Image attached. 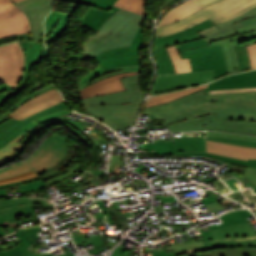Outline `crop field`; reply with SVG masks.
Returning a JSON list of instances; mask_svg holds the SVG:
<instances>
[{
  "instance_id": "crop-field-11",
  "label": "crop field",
  "mask_w": 256,
  "mask_h": 256,
  "mask_svg": "<svg viewBox=\"0 0 256 256\" xmlns=\"http://www.w3.org/2000/svg\"><path fill=\"white\" fill-rule=\"evenodd\" d=\"M23 71V52L18 43L0 47V79L12 88Z\"/></svg>"
},
{
  "instance_id": "crop-field-19",
  "label": "crop field",
  "mask_w": 256,
  "mask_h": 256,
  "mask_svg": "<svg viewBox=\"0 0 256 256\" xmlns=\"http://www.w3.org/2000/svg\"><path fill=\"white\" fill-rule=\"evenodd\" d=\"M140 72H132L128 74H122L113 76L104 80H101L97 83H94L82 90H80V95L82 98L92 97V96H98L118 90H123V84L119 80L120 77L124 76H130V75H136Z\"/></svg>"
},
{
  "instance_id": "crop-field-24",
  "label": "crop field",
  "mask_w": 256,
  "mask_h": 256,
  "mask_svg": "<svg viewBox=\"0 0 256 256\" xmlns=\"http://www.w3.org/2000/svg\"><path fill=\"white\" fill-rule=\"evenodd\" d=\"M39 230L40 226L16 231L22 243L8 251L0 252V256H20L38 238L36 234Z\"/></svg>"
},
{
  "instance_id": "crop-field-65",
  "label": "crop field",
  "mask_w": 256,
  "mask_h": 256,
  "mask_svg": "<svg viewBox=\"0 0 256 256\" xmlns=\"http://www.w3.org/2000/svg\"><path fill=\"white\" fill-rule=\"evenodd\" d=\"M205 94H209L208 91H206Z\"/></svg>"
},
{
  "instance_id": "crop-field-41",
  "label": "crop field",
  "mask_w": 256,
  "mask_h": 256,
  "mask_svg": "<svg viewBox=\"0 0 256 256\" xmlns=\"http://www.w3.org/2000/svg\"><path fill=\"white\" fill-rule=\"evenodd\" d=\"M248 16L250 18L256 16V7L251 9L250 11H248V12H246V13H244V14H242V15H240V16H238V17H236V18H234V19H232L230 21H228V22L218 24L217 26H218V28H221L223 26L229 25V24L234 23L236 21H240V20H242V19H244V18H246Z\"/></svg>"
},
{
  "instance_id": "crop-field-51",
  "label": "crop field",
  "mask_w": 256,
  "mask_h": 256,
  "mask_svg": "<svg viewBox=\"0 0 256 256\" xmlns=\"http://www.w3.org/2000/svg\"><path fill=\"white\" fill-rule=\"evenodd\" d=\"M193 1L197 6H199L200 8L209 5L217 0H191Z\"/></svg>"
},
{
  "instance_id": "crop-field-50",
  "label": "crop field",
  "mask_w": 256,
  "mask_h": 256,
  "mask_svg": "<svg viewBox=\"0 0 256 256\" xmlns=\"http://www.w3.org/2000/svg\"><path fill=\"white\" fill-rule=\"evenodd\" d=\"M243 91H256V88L236 89V90H220V91H209L210 94L216 93H228V92H243Z\"/></svg>"
},
{
  "instance_id": "crop-field-5",
  "label": "crop field",
  "mask_w": 256,
  "mask_h": 256,
  "mask_svg": "<svg viewBox=\"0 0 256 256\" xmlns=\"http://www.w3.org/2000/svg\"><path fill=\"white\" fill-rule=\"evenodd\" d=\"M143 18L120 9L109 18L96 36L91 35L82 47L83 53L79 59H91L96 54L114 47L130 46L136 30Z\"/></svg>"
},
{
  "instance_id": "crop-field-53",
  "label": "crop field",
  "mask_w": 256,
  "mask_h": 256,
  "mask_svg": "<svg viewBox=\"0 0 256 256\" xmlns=\"http://www.w3.org/2000/svg\"><path fill=\"white\" fill-rule=\"evenodd\" d=\"M200 200H201L202 203L204 204L203 206H205V205H207V204H209V203H212V202L217 201V200L215 199V197H214L212 194H210V195H208V196H206V197H204V198H202V199H200Z\"/></svg>"
},
{
  "instance_id": "crop-field-59",
  "label": "crop field",
  "mask_w": 256,
  "mask_h": 256,
  "mask_svg": "<svg viewBox=\"0 0 256 256\" xmlns=\"http://www.w3.org/2000/svg\"><path fill=\"white\" fill-rule=\"evenodd\" d=\"M10 89L11 88L8 85H6L5 83L0 85V90H10Z\"/></svg>"
},
{
  "instance_id": "crop-field-39",
  "label": "crop field",
  "mask_w": 256,
  "mask_h": 256,
  "mask_svg": "<svg viewBox=\"0 0 256 256\" xmlns=\"http://www.w3.org/2000/svg\"><path fill=\"white\" fill-rule=\"evenodd\" d=\"M53 2V0H25L19 3H16L15 6H17L19 9H27L39 5H44Z\"/></svg>"
},
{
  "instance_id": "crop-field-4",
  "label": "crop field",
  "mask_w": 256,
  "mask_h": 256,
  "mask_svg": "<svg viewBox=\"0 0 256 256\" xmlns=\"http://www.w3.org/2000/svg\"><path fill=\"white\" fill-rule=\"evenodd\" d=\"M179 52L182 58L190 57L193 72L157 76L150 95L205 84L227 74L220 44Z\"/></svg>"
},
{
  "instance_id": "crop-field-31",
  "label": "crop field",
  "mask_w": 256,
  "mask_h": 256,
  "mask_svg": "<svg viewBox=\"0 0 256 256\" xmlns=\"http://www.w3.org/2000/svg\"><path fill=\"white\" fill-rule=\"evenodd\" d=\"M175 155H200V156H209L224 162L232 163V164H237V165H242L245 167H253L256 168V160H239V159H234L230 157H225V156H220L216 154H210V153H199V152H174Z\"/></svg>"
},
{
  "instance_id": "crop-field-3",
  "label": "crop field",
  "mask_w": 256,
  "mask_h": 256,
  "mask_svg": "<svg viewBox=\"0 0 256 256\" xmlns=\"http://www.w3.org/2000/svg\"><path fill=\"white\" fill-rule=\"evenodd\" d=\"M121 81L126 90L82 99L92 117L105 122L114 131L134 125L144 98L139 86L140 75L124 77Z\"/></svg>"
},
{
  "instance_id": "crop-field-21",
  "label": "crop field",
  "mask_w": 256,
  "mask_h": 256,
  "mask_svg": "<svg viewBox=\"0 0 256 256\" xmlns=\"http://www.w3.org/2000/svg\"><path fill=\"white\" fill-rule=\"evenodd\" d=\"M51 7L52 3L23 11L29 20L31 41L43 43V19Z\"/></svg>"
},
{
  "instance_id": "crop-field-55",
  "label": "crop field",
  "mask_w": 256,
  "mask_h": 256,
  "mask_svg": "<svg viewBox=\"0 0 256 256\" xmlns=\"http://www.w3.org/2000/svg\"><path fill=\"white\" fill-rule=\"evenodd\" d=\"M33 177H37V175L34 173V174H32V175L25 176V177H21V178H19V179H17V180H14V181L5 182V183H0V184L12 183V182H16V181H21V180L33 178Z\"/></svg>"
},
{
  "instance_id": "crop-field-40",
  "label": "crop field",
  "mask_w": 256,
  "mask_h": 256,
  "mask_svg": "<svg viewBox=\"0 0 256 256\" xmlns=\"http://www.w3.org/2000/svg\"><path fill=\"white\" fill-rule=\"evenodd\" d=\"M207 135L256 141V137L255 136L240 135V134L207 132Z\"/></svg>"
},
{
  "instance_id": "crop-field-49",
  "label": "crop field",
  "mask_w": 256,
  "mask_h": 256,
  "mask_svg": "<svg viewBox=\"0 0 256 256\" xmlns=\"http://www.w3.org/2000/svg\"><path fill=\"white\" fill-rule=\"evenodd\" d=\"M206 207V206H205ZM207 208L208 209H206L207 211H206V213L208 212V211H211V212H217V211H221V210H223L224 209V207L221 205V203L218 201V202H216V203H213V204H209V205H207Z\"/></svg>"
},
{
  "instance_id": "crop-field-57",
  "label": "crop field",
  "mask_w": 256,
  "mask_h": 256,
  "mask_svg": "<svg viewBox=\"0 0 256 256\" xmlns=\"http://www.w3.org/2000/svg\"><path fill=\"white\" fill-rule=\"evenodd\" d=\"M31 173H33V171L28 172V173H25V174H22V175H19V176H16V177H13V178H10V179L0 180V182H4V181H9V180L17 179V178H19V177H21V176L28 175V174H31Z\"/></svg>"
},
{
  "instance_id": "crop-field-34",
  "label": "crop field",
  "mask_w": 256,
  "mask_h": 256,
  "mask_svg": "<svg viewBox=\"0 0 256 256\" xmlns=\"http://www.w3.org/2000/svg\"><path fill=\"white\" fill-rule=\"evenodd\" d=\"M145 2L146 0H117L114 6L145 15Z\"/></svg>"
},
{
  "instance_id": "crop-field-42",
  "label": "crop field",
  "mask_w": 256,
  "mask_h": 256,
  "mask_svg": "<svg viewBox=\"0 0 256 256\" xmlns=\"http://www.w3.org/2000/svg\"><path fill=\"white\" fill-rule=\"evenodd\" d=\"M72 111H73V110H72L70 107H68V108H66V109H64V110H60V111H58V112H56V113H53V114H51V115H48V116H46V117H43V118L34 120V122H38V123L46 122V121H49V120H51V119L57 118V117H59V116H62V115H64V114L70 113V112H72Z\"/></svg>"
},
{
  "instance_id": "crop-field-18",
  "label": "crop field",
  "mask_w": 256,
  "mask_h": 256,
  "mask_svg": "<svg viewBox=\"0 0 256 256\" xmlns=\"http://www.w3.org/2000/svg\"><path fill=\"white\" fill-rule=\"evenodd\" d=\"M245 87H256V70L242 72L224 77L211 83L206 90L235 89Z\"/></svg>"
},
{
  "instance_id": "crop-field-64",
  "label": "crop field",
  "mask_w": 256,
  "mask_h": 256,
  "mask_svg": "<svg viewBox=\"0 0 256 256\" xmlns=\"http://www.w3.org/2000/svg\"><path fill=\"white\" fill-rule=\"evenodd\" d=\"M66 256H74V255L71 253V254H67Z\"/></svg>"
},
{
  "instance_id": "crop-field-17",
  "label": "crop field",
  "mask_w": 256,
  "mask_h": 256,
  "mask_svg": "<svg viewBox=\"0 0 256 256\" xmlns=\"http://www.w3.org/2000/svg\"><path fill=\"white\" fill-rule=\"evenodd\" d=\"M62 101L63 99L60 93L55 88H53L21 105L11 114H9V116L14 119L22 120L41 109L52 106Z\"/></svg>"
},
{
  "instance_id": "crop-field-54",
  "label": "crop field",
  "mask_w": 256,
  "mask_h": 256,
  "mask_svg": "<svg viewBox=\"0 0 256 256\" xmlns=\"http://www.w3.org/2000/svg\"><path fill=\"white\" fill-rule=\"evenodd\" d=\"M21 256H51V255H50V253H48V254H39L38 252H32V251L27 249Z\"/></svg>"
},
{
  "instance_id": "crop-field-22",
  "label": "crop field",
  "mask_w": 256,
  "mask_h": 256,
  "mask_svg": "<svg viewBox=\"0 0 256 256\" xmlns=\"http://www.w3.org/2000/svg\"><path fill=\"white\" fill-rule=\"evenodd\" d=\"M78 4H73L71 10L65 13H58L52 11V13L46 18L45 26H46V34L45 41L46 45L50 43L53 39H55L59 34H61L64 30L67 29V22L71 12Z\"/></svg>"
},
{
  "instance_id": "crop-field-9",
  "label": "crop field",
  "mask_w": 256,
  "mask_h": 256,
  "mask_svg": "<svg viewBox=\"0 0 256 256\" xmlns=\"http://www.w3.org/2000/svg\"><path fill=\"white\" fill-rule=\"evenodd\" d=\"M204 123V125H202ZM170 132L195 130H220L256 135V122L253 121H217L215 115H207L167 125Z\"/></svg>"
},
{
  "instance_id": "crop-field-14",
  "label": "crop field",
  "mask_w": 256,
  "mask_h": 256,
  "mask_svg": "<svg viewBox=\"0 0 256 256\" xmlns=\"http://www.w3.org/2000/svg\"><path fill=\"white\" fill-rule=\"evenodd\" d=\"M116 0H71L91 5L80 25L98 31L103 23L120 8L113 7ZM117 2V1H116Z\"/></svg>"
},
{
  "instance_id": "crop-field-27",
  "label": "crop field",
  "mask_w": 256,
  "mask_h": 256,
  "mask_svg": "<svg viewBox=\"0 0 256 256\" xmlns=\"http://www.w3.org/2000/svg\"><path fill=\"white\" fill-rule=\"evenodd\" d=\"M31 130L20 135L17 139L10 142L7 146L0 150V166L15 160L17 156L25 150L24 145L18 143L24 136H26Z\"/></svg>"
},
{
  "instance_id": "crop-field-10",
  "label": "crop field",
  "mask_w": 256,
  "mask_h": 256,
  "mask_svg": "<svg viewBox=\"0 0 256 256\" xmlns=\"http://www.w3.org/2000/svg\"><path fill=\"white\" fill-rule=\"evenodd\" d=\"M239 23L243 25L235 28L239 35L209 44L214 45L221 43L225 54L228 74L239 72L237 58L232 46L242 42H245L246 45L256 43V17L241 21Z\"/></svg>"
},
{
  "instance_id": "crop-field-1",
  "label": "crop field",
  "mask_w": 256,
  "mask_h": 256,
  "mask_svg": "<svg viewBox=\"0 0 256 256\" xmlns=\"http://www.w3.org/2000/svg\"><path fill=\"white\" fill-rule=\"evenodd\" d=\"M215 113L217 120L256 121V92L205 95L198 91L162 105L146 108L165 124Z\"/></svg>"
},
{
  "instance_id": "crop-field-28",
  "label": "crop field",
  "mask_w": 256,
  "mask_h": 256,
  "mask_svg": "<svg viewBox=\"0 0 256 256\" xmlns=\"http://www.w3.org/2000/svg\"><path fill=\"white\" fill-rule=\"evenodd\" d=\"M174 151L205 152V138H174Z\"/></svg>"
},
{
  "instance_id": "crop-field-26",
  "label": "crop field",
  "mask_w": 256,
  "mask_h": 256,
  "mask_svg": "<svg viewBox=\"0 0 256 256\" xmlns=\"http://www.w3.org/2000/svg\"><path fill=\"white\" fill-rule=\"evenodd\" d=\"M240 26V24L237 22L235 24H231L229 26L223 27L221 29H218L216 25H213L209 28H206L200 32L201 37H203L208 43L217 41L223 38H227L233 35H237L233 27Z\"/></svg>"
},
{
  "instance_id": "crop-field-60",
  "label": "crop field",
  "mask_w": 256,
  "mask_h": 256,
  "mask_svg": "<svg viewBox=\"0 0 256 256\" xmlns=\"http://www.w3.org/2000/svg\"><path fill=\"white\" fill-rule=\"evenodd\" d=\"M178 1H180V0H170V1L168 2V4L166 5V7L169 6V5H171V4L176 3V2H178ZM166 7H165V8H166Z\"/></svg>"
},
{
  "instance_id": "crop-field-46",
  "label": "crop field",
  "mask_w": 256,
  "mask_h": 256,
  "mask_svg": "<svg viewBox=\"0 0 256 256\" xmlns=\"http://www.w3.org/2000/svg\"><path fill=\"white\" fill-rule=\"evenodd\" d=\"M252 69L256 68V44L247 46Z\"/></svg>"
},
{
  "instance_id": "crop-field-33",
  "label": "crop field",
  "mask_w": 256,
  "mask_h": 256,
  "mask_svg": "<svg viewBox=\"0 0 256 256\" xmlns=\"http://www.w3.org/2000/svg\"><path fill=\"white\" fill-rule=\"evenodd\" d=\"M129 48L130 47H120V48L110 49L108 51H105L96 55L92 59H96L97 62H101L103 60L113 58V57L138 55L139 50H129ZM130 51H132V53H130Z\"/></svg>"
},
{
  "instance_id": "crop-field-52",
  "label": "crop field",
  "mask_w": 256,
  "mask_h": 256,
  "mask_svg": "<svg viewBox=\"0 0 256 256\" xmlns=\"http://www.w3.org/2000/svg\"><path fill=\"white\" fill-rule=\"evenodd\" d=\"M95 202H96L97 205L103 210V212L107 215L110 225H114L113 219H112V217L108 214V212L106 211V208H105L104 204L102 203V201H95Z\"/></svg>"
},
{
  "instance_id": "crop-field-62",
  "label": "crop field",
  "mask_w": 256,
  "mask_h": 256,
  "mask_svg": "<svg viewBox=\"0 0 256 256\" xmlns=\"http://www.w3.org/2000/svg\"><path fill=\"white\" fill-rule=\"evenodd\" d=\"M2 235H6L5 232L3 231V229L0 228V236Z\"/></svg>"
},
{
  "instance_id": "crop-field-30",
  "label": "crop field",
  "mask_w": 256,
  "mask_h": 256,
  "mask_svg": "<svg viewBox=\"0 0 256 256\" xmlns=\"http://www.w3.org/2000/svg\"><path fill=\"white\" fill-rule=\"evenodd\" d=\"M43 182H42V180H40L39 177H37V178H33V179H29V180H25V181L13 183V184L0 185V197L6 196L5 187H9V186L20 185L22 193L33 191V190H38V189L48 188V185H46Z\"/></svg>"
},
{
  "instance_id": "crop-field-38",
  "label": "crop field",
  "mask_w": 256,
  "mask_h": 256,
  "mask_svg": "<svg viewBox=\"0 0 256 256\" xmlns=\"http://www.w3.org/2000/svg\"><path fill=\"white\" fill-rule=\"evenodd\" d=\"M206 139L216 141V142L220 141V142H224V143L256 147V142H251V141H243V140H235V139H227V138H219V137H210V136H207Z\"/></svg>"
},
{
  "instance_id": "crop-field-58",
  "label": "crop field",
  "mask_w": 256,
  "mask_h": 256,
  "mask_svg": "<svg viewBox=\"0 0 256 256\" xmlns=\"http://www.w3.org/2000/svg\"><path fill=\"white\" fill-rule=\"evenodd\" d=\"M43 243H45V242H43ZM43 243H34V244H33L30 248H28V249L33 250V251H37L36 249L39 248L38 245L43 244Z\"/></svg>"
},
{
  "instance_id": "crop-field-47",
  "label": "crop field",
  "mask_w": 256,
  "mask_h": 256,
  "mask_svg": "<svg viewBox=\"0 0 256 256\" xmlns=\"http://www.w3.org/2000/svg\"><path fill=\"white\" fill-rule=\"evenodd\" d=\"M19 39L30 41V35H29V33H26V34H21V35H15V36L2 38V39H0V44L10 42V41H14V40H19Z\"/></svg>"
},
{
  "instance_id": "crop-field-37",
  "label": "crop field",
  "mask_w": 256,
  "mask_h": 256,
  "mask_svg": "<svg viewBox=\"0 0 256 256\" xmlns=\"http://www.w3.org/2000/svg\"><path fill=\"white\" fill-rule=\"evenodd\" d=\"M151 152V149H155V152H151V155H173V142L151 143L146 147Z\"/></svg>"
},
{
  "instance_id": "crop-field-63",
  "label": "crop field",
  "mask_w": 256,
  "mask_h": 256,
  "mask_svg": "<svg viewBox=\"0 0 256 256\" xmlns=\"http://www.w3.org/2000/svg\"><path fill=\"white\" fill-rule=\"evenodd\" d=\"M9 1L19 2V1H22V0H9Z\"/></svg>"
},
{
  "instance_id": "crop-field-13",
  "label": "crop field",
  "mask_w": 256,
  "mask_h": 256,
  "mask_svg": "<svg viewBox=\"0 0 256 256\" xmlns=\"http://www.w3.org/2000/svg\"><path fill=\"white\" fill-rule=\"evenodd\" d=\"M66 107H68V105L65 102H63L52 107L46 108L44 110H41L22 121L10 119L0 124V148L9 143L22 132L38 125L37 123H33L30 121L51 114L60 109H64Z\"/></svg>"
},
{
  "instance_id": "crop-field-23",
  "label": "crop field",
  "mask_w": 256,
  "mask_h": 256,
  "mask_svg": "<svg viewBox=\"0 0 256 256\" xmlns=\"http://www.w3.org/2000/svg\"><path fill=\"white\" fill-rule=\"evenodd\" d=\"M132 71H140V65L124 66V67H118V68L108 69V70H104L99 65L87 76H85L81 81L78 82V87L79 89H81L101 79H104L113 75H117V74L132 72Z\"/></svg>"
},
{
  "instance_id": "crop-field-16",
  "label": "crop field",
  "mask_w": 256,
  "mask_h": 256,
  "mask_svg": "<svg viewBox=\"0 0 256 256\" xmlns=\"http://www.w3.org/2000/svg\"><path fill=\"white\" fill-rule=\"evenodd\" d=\"M25 52V71L24 76L16 88L8 93L0 94V106L3 100L16 94L26 82L35 63H39L42 58H48L46 48L43 45L30 42H19Z\"/></svg>"
},
{
  "instance_id": "crop-field-7",
  "label": "crop field",
  "mask_w": 256,
  "mask_h": 256,
  "mask_svg": "<svg viewBox=\"0 0 256 256\" xmlns=\"http://www.w3.org/2000/svg\"><path fill=\"white\" fill-rule=\"evenodd\" d=\"M211 25L213 23L208 19L178 33L163 37H154L153 55L157 65V74L175 73L173 63L165 47L175 44L179 50H182L209 46L196 32Z\"/></svg>"
},
{
  "instance_id": "crop-field-12",
  "label": "crop field",
  "mask_w": 256,
  "mask_h": 256,
  "mask_svg": "<svg viewBox=\"0 0 256 256\" xmlns=\"http://www.w3.org/2000/svg\"><path fill=\"white\" fill-rule=\"evenodd\" d=\"M29 32V24L22 13L8 0H0V38Z\"/></svg>"
},
{
  "instance_id": "crop-field-25",
  "label": "crop field",
  "mask_w": 256,
  "mask_h": 256,
  "mask_svg": "<svg viewBox=\"0 0 256 256\" xmlns=\"http://www.w3.org/2000/svg\"><path fill=\"white\" fill-rule=\"evenodd\" d=\"M200 9L197 7L193 2L190 0L179 4L178 6L174 7L170 11H168L164 17L160 20L158 26L173 22L175 20L181 19L195 11Z\"/></svg>"
},
{
  "instance_id": "crop-field-15",
  "label": "crop field",
  "mask_w": 256,
  "mask_h": 256,
  "mask_svg": "<svg viewBox=\"0 0 256 256\" xmlns=\"http://www.w3.org/2000/svg\"><path fill=\"white\" fill-rule=\"evenodd\" d=\"M33 209L34 205L28 198L0 200V226L8 224L9 230L19 227L15 216L33 213Z\"/></svg>"
},
{
  "instance_id": "crop-field-56",
  "label": "crop field",
  "mask_w": 256,
  "mask_h": 256,
  "mask_svg": "<svg viewBox=\"0 0 256 256\" xmlns=\"http://www.w3.org/2000/svg\"><path fill=\"white\" fill-rule=\"evenodd\" d=\"M121 245V244H120ZM112 256H123L122 254V246H118L113 252Z\"/></svg>"
},
{
  "instance_id": "crop-field-36",
  "label": "crop field",
  "mask_w": 256,
  "mask_h": 256,
  "mask_svg": "<svg viewBox=\"0 0 256 256\" xmlns=\"http://www.w3.org/2000/svg\"><path fill=\"white\" fill-rule=\"evenodd\" d=\"M233 48L238 58L240 72L251 69L245 44H238Z\"/></svg>"
},
{
  "instance_id": "crop-field-32",
  "label": "crop field",
  "mask_w": 256,
  "mask_h": 256,
  "mask_svg": "<svg viewBox=\"0 0 256 256\" xmlns=\"http://www.w3.org/2000/svg\"><path fill=\"white\" fill-rule=\"evenodd\" d=\"M167 50H168V52L171 56V59L174 63L176 73L191 71L189 58L181 59L179 52L175 45L167 48Z\"/></svg>"
},
{
  "instance_id": "crop-field-43",
  "label": "crop field",
  "mask_w": 256,
  "mask_h": 256,
  "mask_svg": "<svg viewBox=\"0 0 256 256\" xmlns=\"http://www.w3.org/2000/svg\"><path fill=\"white\" fill-rule=\"evenodd\" d=\"M98 236H100V235L98 234V235L90 238L87 235L84 236V237L82 235H80V236H78L77 238H75L73 240H74L75 244L77 245V244H80V242H82V241L90 239L91 242L94 244V246L97 247V246H100V245L104 244Z\"/></svg>"
},
{
  "instance_id": "crop-field-29",
  "label": "crop field",
  "mask_w": 256,
  "mask_h": 256,
  "mask_svg": "<svg viewBox=\"0 0 256 256\" xmlns=\"http://www.w3.org/2000/svg\"><path fill=\"white\" fill-rule=\"evenodd\" d=\"M208 85L199 86V87L190 88V89H185V90H180V91H176V92H171V93H167V94H164V95L151 96L148 100V103H147L146 107L157 105L159 103L162 104L166 101L177 99V98L182 97L186 94L198 91L200 89L207 88Z\"/></svg>"
},
{
  "instance_id": "crop-field-6",
  "label": "crop field",
  "mask_w": 256,
  "mask_h": 256,
  "mask_svg": "<svg viewBox=\"0 0 256 256\" xmlns=\"http://www.w3.org/2000/svg\"><path fill=\"white\" fill-rule=\"evenodd\" d=\"M256 6V0H221L172 24L156 28V36L178 32L210 18L214 24L225 22Z\"/></svg>"
},
{
  "instance_id": "crop-field-45",
  "label": "crop field",
  "mask_w": 256,
  "mask_h": 256,
  "mask_svg": "<svg viewBox=\"0 0 256 256\" xmlns=\"http://www.w3.org/2000/svg\"><path fill=\"white\" fill-rule=\"evenodd\" d=\"M51 88H53V87H52L51 85H49V86H47V87H45V88H43V89L37 91L36 93H34V94H32V95H30V96L24 98V99L21 100L18 104H16L14 107H12L5 115H3V118L6 117L9 113H11L13 110H15V109H16L18 106H20L22 103H24V102L30 100L31 98H33V97H35V96H37V95H39V94H41V93H43V92H45V91L51 89Z\"/></svg>"
},
{
  "instance_id": "crop-field-44",
  "label": "crop field",
  "mask_w": 256,
  "mask_h": 256,
  "mask_svg": "<svg viewBox=\"0 0 256 256\" xmlns=\"http://www.w3.org/2000/svg\"><path fill=\"white\" fill-rule=\"evenodd\" d=\"M142 31L143 29L139 28L131 42L130 49H141L143 45V38H142Z\"/></svg>"
},
{
  "instance_id": "crop-field-66",
  "label": "crop field",
  "mask_w": 256,
  "mask_h": 256,
  "mask_svg": "<svg viewBox=\"0 0 256 256\" xmlns=\"http://www.w3.org/2000/svg\"><path fill=\"white\" fill-rule=\"evenodd\" d=\"M62 1H67V2H69V0H62Z\"/></svg>"
},
{
  "instance_id": "crop-field-35",
  "label": "crop field",
  "mask_w": 256,
  "mask_h": 256,
  "mask_svg": "<svg viewBox=\"0 0 256 256\" xmlns=\"http://www.w3.org/2000/svg\"><path fill=\"white\" fill-rule=\"evenodd\" d=\"M104 69L113 68L117 66L123 65H136L140 64L139 56L133 57H122V58H114L110 60H106L104 62L99 63Z\"/></svg>"
},
{
  "instance_id": "crop-field-61",
  "label": "crop field",
  "mask_w": 256,
  "mask_h": 256,
  "mask_svg": "<svg viewBox=\"0 0 256 256\" xmlns=\"http://www.w3.org/2000/svg\"><path fill=\"white\" fill-rule=\"evenodd\" d=\"M8 119H10V117H8V116H7L5 119H3V118L0 117V123L6 121V120H8Z\"/></svg>"
},
{
  "instance_id": "crop-field-8",
  "label": "crop field",
  "mask_w": 256,
  "mask_h": 256,
  "mask_svg": "<svg viewBox=\"0 0 256 256\" xmlns=\"http://www.w3.org/2000/svg\"><path fill=\"white\" fill-rule=\"evenodd\" d=\"M68 144L57 134L46 139L34 155L22 163L0 169V179L18 175L30 170L36 174L47 171L59 164L65 156Z\"/></svg>"
},
{
  "instance_id": "crop-field-20",
  "label": "crop field",
  "mask_w": 256,
  "mask_h": 256,
  "mask_svg": "<svg viewBox=\"0 0 256 256\" xmlns=\"http://www.w3.org/2000/svg\"><path fill=\"white\" fill-rule=\"evenodd\" d=\"M207 152L230 156L239 159H256V148L207 141Z\"/></svg>"
},
{
  "instance_id": "crop-field-2",
  "label": "crop field",
  "mask_w": 256,
  "mask_h": 256,
  "mask_svg": "<svg viewBox=\"0 0 256 256\" xmlns=\"http://www.w3.org/2000/svg\"><path fill=\"white\" fill-rule=\"evenodd\" d=\"M252 216L247 210L228 212L220 218L224 223L199 229L203 242L212 250L182 256H256V234L245 219ZM200 240V239H199ZM178 252H152L153 256H176Z\"/></svg>"
},
{
  "instance_id": "crop-field-48",
  "label": "crop field",
  "mask_w": 256,
  "mask_h": 256,
  "mask_svg": "<svg viewBox=\"0 0 256 256\" xmlns=\"http://www.w3.org/2000/svg\"><path fill=\"white\" fill-rule=\"evenodd\" d=\"M243 176L247 178L252 184L256 185V169L246 168Z\"/></svg>"
}]
</instances>
